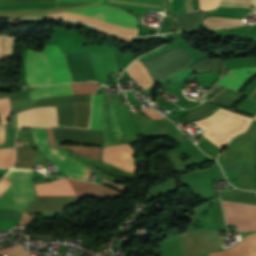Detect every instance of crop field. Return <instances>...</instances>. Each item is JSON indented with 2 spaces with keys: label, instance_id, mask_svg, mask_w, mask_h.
Listing matches in <instances>:
<instances>
[{
  "label": "crop field",
  "instance_id": "1",
  "mask_svg": "<svg viewBox=\"0 0 256 256\" xmlns=\"http://www.w3.org/2000/svg\"><path fill=\"white\" fill-rule=\"evenodd\" d=\"M36 195H90L115 197L120 194L103 186L78 180L59 179L57 181L35 185ZM84 196H36L35 203H30L26 213L62 212L64 205L72 204Z\"/></svg>",
  "mask_w": 256,
  "mask_h": 256
},
{
  "label": "crop field",
  "instance_id": "24",
  "mask_svg": "<svg viewBox=\"0 0 256 256\" xmlns=\"http://www.w3.org/2000/svg\"><path fill=\"white\" fill-rule=\"evenodd\" d=\"M222 68H223V59L211 60L205 57L187 69L195 70V71H208V70H222Z\"/></svg>",
  "mask_w": 256,
  "mask_h": 256
},
{
  "label": "crop field",
  "instance_id": "15",
  "mask_svg": "<svg viewBox=\"0 0 256 256\" xmlns=\"http://www.w3.org/2000/svg\"><path fill=\"white\" fill-rule=\"evenodd\" d=\"M102 3L120 6L140 13L147 11L164 12V0H105Z\"/></svg>",
  "mask_w": 256,
  "mask_h": 256
},
{
  "label": "crop field",
  "instance_id": "16",
  "mask_svg": "<svg viewBox=\"0 0 256 256\" xmlns=\"http://www.w3.org/2000/svg\"><path fill=\"white\" fill-rule=\"evenodd\" d=\"M256 253V233H252L246 235L244 240L237 243L232 248L217 252V253H210V256H246ZM256 256V254L250 255Z\"/></svg>",
  "mask_w": 256,
  "mask_h": 256
},
{
  "label": "crop field",
  "instance_id": "28",
  "mask_svg": "<svg viewBox=\"0 0 256 256\" xmlns=\"http://www.w3.org/2000/svg\"><path fill=\"white\" fill-rule=\"evenodd\" d=\"M14 160V148L0 150V168H11Z\"/></svg>",
  "mask_w": 256,
  "mask_h": 256
},
{
  "label": "crop field",
  "instance_id": "42",
  "mask_svg": "<svg viewBox=\"0 0 256 256\" xmlns=\"http://www.w3.org/2000/svg\"><path fill=\"white\" fill-rule=\"evenodd\" d=\"M254 60H255V64H256V57H254Z\"/></svg>",
  "mask_w": 256,
  "mask_h": 256
},
{
  "label": "crop field",
  "instance_id": "20",
  "mask_svg": "<svg viewBox=\"0 0 256 256\" xmlns=\"http://www.w3.org/2000/svg\"><path fill=\"white\" fill-rule=\"evenodd\" d=\"M126 71L144 89L154 84L153 80L139 59L130 65Z\"/></svg>",
  "mask_w": 256,
  "mask_h": 256
},
{
  "label": "crop field",
  "instance_id": "2",
  "mask_svg": "<svg viewBox=\"0 0 256 256\" xmlns=\"http://www.w3.org/2000/svg\"><path fill=\"white\" fill-rule=\"evenodd\" d=\"M41 51L48 60L53 84L72 82L65 63V57L59 48L56 45H44ZM42 52L28 50L26 80L29 86L52 84L48 63Z\"/></svg>",
  "mask_w": 256,
  "mask_h": 256
},
{
  "label": "crop field",
  "instance_id": "32",
  "mask_svg": "<svg viewBox=\"0 0 256 256\" xmlns=\"http://www.w3.org/2000/svg\"><path fill=\"white\" fill-rule=\"evenodd\" d=\"M214 110L215 109H213V108L201 106V107H198L194 110L188 111V117L187 118H197V117L206 116Z\"/></svg>",
  "mask_w": 256,
  "mask_h": 256
},
{
  "label": "crop field",
  "instance_id": "23",
  "mask_svg": "<svg viewBox=\"0 0 256 256\" xmlns=\"http://www.w3.org/2000/svg\"><path fill=\"white\" fill-rule=\"evenodd\" d=\"M75 122L74 127L87 128L91 113V105L87 103H75Z\"/></svg>",
  "mask_w": 256,
  "mask_h": 256
},
{
  "label": "crop field",
  "instance_id": "41",
  "mask_svg": "<svg viewBox=\"0 0 256 256\" xmlns=\"http://www.w3.org/2000/svg\"><path fill=\"white\" fill-rule=\"evenodd\" d=\"M8 93H0V97H5L7 96Z\"/></svg>",
  "mask_w": 256,
  "mask_h": 256
},
{
  "label": "crop field",
  "instance_id": "18",
  "mask_svg": "<svg viewBox=\"0 0 256 256\" xmlns=\"http://www.w3.org/2000/svg\"><path fill=\"white\" fill-rule=\"evenodd\" d=\"M50 147H62L74 150L78 155L89 156L100 160L101 147H89L84 145H58L55 146V142L52 135L51 128H46Z\"/></svg>",
  "mask_w": 256,
  "mask_h": 256
},
{
  "label": "crop field",
  "instance_id": "3",
  "mask_svg": "<svg viewBox=\"0 0 256 256\" xmlns=\"http://www.w3.org/2000/svg\"><path fill=\"white\" fill-rule=\"evenodd\" d=\"M255 141L256 130L250 125L245 133L233 138L225 149L224 171L238 172L239 187L243 189L254 190Z\"/></svg>",
  "mask_w": 256,
  "mask_h": 256
},
{
  "label": "crop field",
  "instance_id": "10",
  "mask_svg": "<svg viewBox=\"0 0 256 256\" xmlns=\"http://www.w3.org/2000/svg\"><path fill=\"white\" fill-rule=\"evenodd\" d=\"M227 224H237V232L256 230V206L222 201Z\"/></svg>",
  "mask_w": 256,
  "mask_h": 256
},
{
  "label": "crop field",
  "instance_id": "8",
  "mask_svg": "<svg viewBox=\"0 0 256 256\" xmlns=\"http://www.w3.org/2000/svg\"><path fill=\"white\" fill-rule=\"evenodd\" d=\"M103 95L93 96L90 129L102 130L101 104ZM55 141H73L104 145L102 131L52 128Z\"/></svg>",
  "mask_w": 256,
  "mask_h": 256
},
{
  "label": "crop field",
  "instance_id": "30",
  "mask_svg": "<svg viewBox=\"0 0 256 256\" xmlns=\"http://www.w3.org/2000/svg\"><path fill=\"white\" fill-rule=\"evenodd\" d=\"M74 95L77 94H92L94 90L99 87L97 83L87 82L82 84H71Z\"/></svg>",
  "mask_w": 256,
  "mask_h": 256
},
{
  "label": "crop field",
  "instance_id": "29",
  "mask_svg": "<svg viewBox=\"0 0 256 256\" xmlns=\"http://www.w3.org/2000/svg\"><path fill=\"white\" fill-rule=\"evenodd\" d=\"M250 0H222L219 6L249 8ZM250 8L256 12V0H251Z\"/></svg>",
  "mask_w": 256,
  "mask_h": 256
},
{
  "label": "crop field",
  "instance_id": "12",
  "mask_svg": "<svg viewBox=\"0 0 256 256\" xmlns=\"http://www.w3.org/2000/svg\"><path fill=\"white\" fill-rule=\"evenodd\" d=\"M102 160L124 171L135 172L134 151L128 144L105 147Z\"/></svg>",
  "mask_w": 256,
  "mask_h": 256
},
{
  "label": "crop field",
  "instance_id": "14",
  "mask_svg": "<svg viewBox=\"0 0 256 256\" xmlns=\"http://www.w3.org/2000/svg\"><path fill=\"white\" fill-rule=\"evenodd\" d=\"M103 128L106 145L117 144L123 140L111 101L103 106Z\"/></svg>",
  "mask_w": 256,
  "mask_h": 256
},
{
  "label": "crop field",
  "instance_id": "22",
  "mask_svg": "<svg viewBox=\"0 0 256 256\" xmlns=\"http://www.w3.org/2000/svg\"><path fill=\"white\" fill-rule=\"evenodd\" d=\"M222 200L256 205V193L242 191L219 192Z\"/></svg>",
  "mask_w": 256,
  "mask_h": 256
},
{
  "label": "crop field",
  "instance_id": "25",
  "mask_svg": "<svg viewBox=\"0 0 256 256\" xmlns=\"http://www.w3.org/2000/svg\"><path fill=\"white\" fill-rule=\"evenodd\" d=\"M19 161L15 167L33 168V155L31 147H18Z\"/></svg>",
  "mask_w": 256,
  "mask_h": 256
},
{
  "label": "crop field",
  "instance_id": "34",
  "mask_svg": "<svg viewBox=\"0 0 256 256\" xmlns=\"http://www.w3.org/2000/svg\"><path fill=\"white\" fill-rule=\"evenodd\" d=\"M152 109V108H151ZM151 109H144L143 106L141 105V110H143L147 115H149L152 119L155 120H160L162 119V117L157 114L155 111L151 110Z\"/></svg>",
  "mask_w": 256,
  "mask_h": 256
},
{
  "label": "crop field",
  "instance_id": "11",
  "mask_svg": "<svg viewBox=\"0 0 256 256\" xmlns=\"http://www.w3.org/2000/svg\"><path fill=\"white\" fill-rule=\"evenodd\" d=\"M18 128L28 126H57V110L55 107L33 108L17 113Z\"/></svg>",
  "mask_w": 256,
  "mask_h": 256
},
{
  "label": "crop field",
  "instance_id": "26",
  "mask_svg": "<svg viewBox=\"0 0 256 256\" xmlns=\"http://www.w3.org/2000/svg\"><path fill=\"white\" fill-rule=\"evenodd\" d=\"M240 96H241V94L236 93L232 90L226 89L223 92L216 95L212 99V101L230 107Z\"/></svg>",
  "mask_w": 256,
  "mask_h": 256
},
{
  "label": "crop field",
  "instance_id": "27",
  "mask_svg": "<svg viewBox=\"0 0 256 256\" xmlns=\"http://www.w3.org/2000/svg\"><path fill=\"white\" fill-rule=\"evenodd\" d=\"M51 7H56V3H28V4L0 5V9H31V8H51Z\"/></svg>",
  "mask_w": 256,
  "mask_h": 256
},
{
  "label": "crop field",
  "instance_id": "43",
  "mask_svg": "<svg viewBox=\"0 0 256 256\" xmlns=\"http://www.w3.org/2000/svg\"><path fill=\"white\" fill-rule=\"evenodd\" d=\"M255 119H256V117H255Z\"/></svg>",
  "mask_w": 256,
  "mask_h": 256
},
{
  "label": "crop field",
  "instance_id": "4",
  "mask_svg": "<svg viewBox=\"0 0 256 256\" xmlns=\"http://www.w3.org/2000/svg\"><path fill=\"white\" fill-rule=\"evenodd\" d=\"M68 12H75L78 14L88 15L90 17L97 18L103 21H107V22H111V23H115V24L127 26V27H134V28H137L138 21H139L138 19L134 18L130 14L120 9L109 7V6L93 5V6L70 10ZM68 12H61L57 14L47 15L45 17L77 20V21L85 22L98 27H102L105 29H109L115 32L128 34V35L136 36V33H137V29H134V28L122 27L115 24L96 20L88 16H83V15H78L75 13H68Z\"/></svg>",
  "mask_w": 256,
  "mask_h": 256
},
{
  "label": "crop field",
  "instance_id": "21",
  "mask_svg": "<svg viewBox=\"0 0 256 256\" xmlns=\"http://www.w3.org/2000/svg\"><path fill=\"white\" fill-rule=\"evenodd\" d=\"M206 27L212 31L225 28L230 29L242 25H246L242 19H231V18H220V17H209L202 21Z\"/></svg>",
  "mask_w": 256,
  "mask_h": 256
},
{
  "label": "crop field",
  "instance_id": "36",
  "mask_svg": "<svg viewBox=\"0 0 256 256\" xmlns=\"http://www.w3.org/2000/svg\"><path fill=\"white\" fill-rule=\"evenodd\" d=\"M11 183L9 181H7L6 179H2V181L0 182V195L2 194V192L10 185Z\"/></svg>",
  "mask_w": 256,
  "mask_h": 256
},
{
  "label": "crop field",
  "instance_id": "31",
  "mask_svg": "<svg viewBox=\"0 0 256 256\" xmlns=\"http://www.w3.org/2000/svg\"><path fill=\"white\" fill-rule=\"evenodd\" d=\"M10 113V104L8 98L0 99V119L2 125H8L7 118Z\"/></svg>",
  "mask_w": 256,
  "mask_h": 256
},
{
  "label": "crop field",
  "instance_id": "37",
  "mask_svg": "<svg viewBox=\"0 0 256 256\" xmlns=\"http://www.w3.org/2000/svg\"><path fill=\"white\" fill-rule=\"evenodd\" d=\"M35 164H41V165L45 164V158L39 153H36Z\"/></svg>",
  "mask_w": 256,
  "mask_h": 256
},
{
  "label": "crop field",
  "instance_id": "35",
  "mask_svg": "<svg viewBox=\"0 0 256 256\" xmlns=\"http://www.w3.org/2000/svg\"><path fill=\"white\" fill-rule=\"evenodd\" d=\"M93 29H94V30H98V31H102V32L109 33V34H111V35H113V36H116V37H118V38H121V39H123V40L130 41V42H131V37H126V36L117 35V34H115V33H113V32L105 31V30H102V29H99V28H95V27H93Z\"/></svg>",
  "mask_w": 256,
  "mask_h": 256
},
{
  "label": "crop field",
  "instance_id": "5",
  "mask_svg": "<svg viewBox=\"0 0 256 256\" xmlns=\"http://www.w3.org/2000/svg\"><path fill=\"white\" fill-rule=\"evenodd\" d=\"M30 97L32 100L49 98L55 96L63 95H73L72 88L70 84L57 85L50 88H42L30 92ZM92 95H83V96H63L55 97L49 99L35 100L33 102L34 107L38 106H59L64 104H70L75 102H88L91 103ZM58 109V123L59 126H70L73 127L74 122V109L73 105L59 106Z\"/></svg>",
  "mask_w": 256,
  "mask_h": 256
},
{
  "label": "crop field",
  "instance_id": "6",
  "mask_svg": "<svg viewBox=\"0 0 256 256\" xmlns=\"http://www.w3.org/2000/svg\"><path fill=\"white\" fill-rule=\"evenodd\" d=\"M6 178L12 184L0 197V207L24 211L28 201H34L35 198L32 171L13 170Z\"/></svg>",
  "mask_w": 256,
  "mask_h": 256
},
{
  "label": "crop field",
  "instance_id": "9",
  "mask_svg": "<svg viewBox=\"0 0 256 256\" xmlns=\"http://www.w3.org/2000/svg\"><path fill=\"white\" fill-rule=\"evenodd\" d=\"M30 130L33 134L34 145L38 147L41 153L54 165L70 176L84 178L87 166L71 158L59 149H49L45 128H34Z\"/></svg>",
  "mask_w": 256,
  "mask_h": 256
},
{
  "label": "crop field",
  "instance_id": "19",
  "mask_svg": "<svg viewBox=\"0 0 256 256\" xmlns=\"http://www.w3.org/2000/svg\"><path fill=\"white\" fill-rule=\"evenodd\" d=\"M112 102H113V105H114V108H115V111H116V114H117V117L119 120V124H120L121 130H122L124 139L132 137V136H136L137 134H136L133 124L130 120L127 108L126 107L121 108L119 100H115Z\"/></svg>",
  "mask_w": 256,
  "mask_h": 256
},
{
  "label": "crop field",
  "instance_id": "38",
  "mask_svg": "<svg viewBox=\"0 0 256 256\" xmlns=\"http://www.w3.org/2000/svg\"><path fill=\"white\" fill-rule=\"evenodd\" d=\"M5 127L0 125V144L4 143Z\"/></svg>",
  "mask_w": 256,
  "mask_h": 256
},
{
  "label": "crop field",
  "instance_id": "33",
  "mask_svg": "<svg viewBox=\"0 0 256 256\" xmlns=\"http://www.w3.org/2000/svg\"><path fill=\"white\" fill-rule=\"evenodd\" d=\"M17 222H14L10 219H0V228H5L10 230Z\"/></svg>",
  "mask_w": 256,
  "mask_h": 256
},
{
  "label": "crop field",
  "instance_id": "13",
  "mask_svg": "<svg viewBox=\"0 0 256 256\" xmlns=\"http://www.w3.org/2000/svg\"><path fill=\"white\" fill-rule=\"evenodd\" d=\"M65 57L74 81L97 82L89 53L67 54Z\"/></svg>",
  "mask_w": 256,
  "mask_h": 256
},
{
  "label": "crop field",
  "instance_id": "17",
  "mask_svg": "<svg viewBox=\"0 0 256 256\" xmlns=\"http://www.w3.org/2000/svg\"><path fill=\"white\" fill-rule=\"evenodd\" d=\"M256 73V68L229 70L220 80L218 85L228 87L238 92L244 82Z\"/></svg>",
  "mask_w": 256,
  "mask_h": 256
},
{
  "label": "crop field",
  "instance_id": "40",
  "mask_svg": "<svg viewBox=\"0 0 256 256\" xmlns=\"http://www.w3.org/2000/svg\"><path fill=\"white\" fill-rule=\"evenodd\" d=\"M65 1H87V2H101L103 0H65Z\"/></svg>",
  "mask_w": 256,
  "mask_h": 256
},
{
  "label": "crop field",
  "instance_id": "39",
  "mask_svg": "<svg viewBox=\"0 0 256 256\" xmlns=\"http://www.w3.org/2000/svg\"><path fill=\"white\" fill-rule=\"evenodd\" d=\"M251 125L256 129V121L255 120H253ZM255 151H256V144H255ZM254 170H255V168H254ZM254 183H255V190H256V172H254Z\"/></svg>",
  "mask_w": 256,
  "mask_h": 256
},
{
  "label": "crop field",
  "instance_id": "7",
  "mask_svg": "<svg viewBox=\"0 0 256 256\" xmlns=\"http://www.w3.org/2000/svg\"><path fill=\"white\" fill-rule=\"evenodd\" d=\"M191 57L180 47L171 49L159 56L142 61L148 69L155 84L170 75L185 69Z\"/></svg>",
  "mask_w": 256,
  "mask_h": 256
}]
</instances>
